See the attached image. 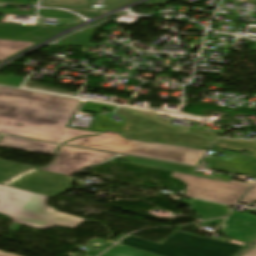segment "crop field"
Returning a JSON list of instances; mask_svg holds the SVG:
<instances>
[{
	"mask_svg": "<svg viewBox=\"0 0 256 256\" xmlns=\"http://www.w3.org/2000/svg\"><path fill=\"white\" fill-rule=\"evenodd\" d=\"M96 29H87L85 31L73 34L59 42L56 45H48V47H59V46H84L89 45Z\"/></svg>",
	"mask_w": 256,
	"mask_h": 256,
	"instance_id": "22f410ed",
	"label": "crop field"
},
{
	"mask_svg": "<svg viewBox=\"0 0 256 256\" xmlns=\"http://www.w3.org/2000/svg\"><path fill=\"white\" fill-rule=\"evenodd\" d=\"M216 146L241 151L243 149L254 151L251 157L256 158V142L246 140L217 139Z\"/></svg>",
	"mask_w": 256,
	"mask_h": 256,
	"instance_id": "d9b57169",
	"label": "crop field"
},
{
	"mask_svg": "<svg viewBox=\"0 0 256 256\" xmlns=\"http://www.w3.org/2000/svg\"><path fill=\"white\" fill-rule=\"evenodd\" d=\"M0 146L51 154V155H54L55 150L59 147L58 145H54V144L7 137V136H3L0 139Z\"/></svg>",
	"mask_w": 256,
	"mask_h": 256,
	"instance_id": "3316defc",
	"label": "crop field"
},
{
	"mask_svg": "<svg viewBox=\"0 0 256 256\" xmlns=\"http://www.w3.org/2000/svg\"><path fill=\"white\" fill-rule=\"evenodd\" d=\"M116 113L127 119L120 133L129 138L205 147L211 145L217 136L216 133L170 125V120L156 118L154 114L138 110L120 107Z\"/></svg>",
	"mask_w": 256,
	"mask_h": 256,
	"instance_id": "34b2d1b8",
	"label": "crop field"
},
{
	"mask_svg": "<svg viewBox=\"0 0 256 256\" xmlns=\"http://www.w3.org/2000/svg\"><path fill=\"white\" fill-rule=\"evenodd\" d=\"M122 125L123 123L111 121L109 118L98 117L90 130L103 132L106 131V129H109L119 132Z\"/></svg>",
	"mask_w": 256,
	"mask_h": 256,
	"instance_id": "214f88e0",
	"label": "crop field"
},
{
	"mask_svg": "<svg viewBox=\"0 0 256 256\" xmlns=\"http://www.w3.org/2000/svg\"><path fill=\"white\" fill-rule=\"evenodd\" d=\"M47 198L0 186V213L9 216L14 222L39 229L55 226L74 228L85 220L54 210L45 204Z\"/></svg>",
	"mask_w": 256,
	"mask_h": 256,
	"instance_id": "ac0d7876",
	"label": "crop field"
},
{
	"mask_svg": "<svg viewBox=\"0 0 256 256\" xmlns=\"http://www.w3.org/2000/svg\"><path fill=\"white\" fill-rule=\"evenodd\" d=\"M78 13L84 14V12H78Z\"/></svg>",
	"mask_w": 256,
	"mask_h": 256,
	"instance_id": "d32e631a",
	"label": "crop field"
},
{
	"mask_svg": "<svg viewBox=\"0 0 256 256\" xmlns=\"http://www.w3.org/2000/svg\"><path fill=\"white\" fill-rule=\"evenodd\" d=\"M39 13L41 16L79 19L75 15L64 11L40 10Z\"/></svg>",
	"mask_w": 256,
	"mask_h": 256,
	"instance_id": "dafd665d",
	"label": "crop field"
},
{
	"mask_svg": "<svg viewBox=\"0 0 256 256\" xmlns=\"http://www.w3.org/2000/svg\"><path fill=\"white\" fill-rule=\"evenodd\" d=\"M0 256H18V255L13 254V253H5V252L0 251Z\"/></svg>",
	"mask_w": 256,
	"mask_h": 256,
	"instance_id": "bd1437ed",
	"label": "crop field"
},
{
	"mask_svg": "<svg viewBox=\"0 0 256 256\" xmlns=\"http://www.w3.org/2000/svg\"><path fill=\"white\" fill-rule=\"evenodd\" d=\"M103 242H105V241L99 240V239H93V240L87 242L86 244L92 243V244H91V246H92V245L95 244V243L101 244V243H103ZM86 244H84V245H86ZM84 245H82V246H84Z\"/></svg>",
	"mask_w": 256,
	"mask_h": 256,
	"instance_id": "ae1a2a85",
	"label": "crop field"
},
{
	"mask_svg": "<svg viewBox=\"0 0 256 256\" xmlns=\"http://www.w3.org/2000/svg\"><path fill=\"white\" fill-rule=\"evenodd\" d=\"M98 14H100V13H96V12H87V13H86V16H88V17H93V16H96V15H98Z\"/></svg>",
	"mask_w": 256,
	"mask_h": 256,
	"instance_id": "1d83c4d3",
	"label": "crop field"
},
{
	"mask_svg": "<svg viewBox=\"0 0 256 256\" xmlns=\"http://www.w3.org/2000/svg\"><path fill=\"white\" fill-rule=\"evenodd\" d=\"M40 28L42 27L0 24V38L15 39L19 36L28 34Z\"/></svg>",
	"mask_w": 256,
	"mask_h": 256,
	"instance_id": "5142ce71",
	"label": "crop field"
},
{
	"mask_svg": "<svg viewBox=\"0 0 256 256\" xmlns=\"http://www.w3.org/2000/svg\"><path fill=\"white\" fill-rule=\"evenodd\" d=\"M0 2L27 3L24 0H0Z\"/></svg>",
	"mask_w": 256,
	"mask_h": 256,
	"instance_id": "750c4746",
	"label": "crop field"
},
{
	"mask_svg": "<svg viewBox=\"0 0 256 256\" xmlns=\"http://www.w3.org/2000/svg\"><path fill=\"white\" fill-rule=\"evenodd\" d=\"M172 176L187 184L186 196L226 205L236 204L250 187L246 183H227L176 172H173Z\"/></svg>",
	"mask_w": 256,
	"mask_h": 256,
	"instance_id": "dd49c442",
	"label": "crop field"
},
{
	"mask_svg": "<svg viewBox=\"0 0 256 256\" xmlns=\"http://www.w3.org/2000/svg\"><path fill=\"white\" fill-rule=\"evenodd\" d=\"M24 79L25 78L12 77V76H6V75L0 74V84L20 87V85Z\"/></svg>",
	"mask_w": 256,
	"mask_h": 256,
	"instance_id": "00972430",
	"label": "crop field"
},
{
	"mask_svg": "<svg viewBox=\"0 0 256 256\" xmlns=\"http://www.w3.org/2000/svg\"><path fill=\"white\" fill-rule=\"evenodd\" d=\"M79 101L0 86V132L59 143L99 134L66 127Z\"/></svg>",
	"mask_w": 256,
	"mask_h": 256,
	"instance_id": "8a807250",
	"label": "crop field"
},
{
	"mask_svg": "<svg viewBox=\"0 0 256 256\" xmlns=\"http://www.w3.org/2000/svg\"><path fill=\"white\" fill-rule=\"evenodd\" d=\"M101 256H155L123 246L115 245Z\"/></svg>",
	"mask_w": 256,
	"mask_h": 256,
	"instance_id": "bc2a9ffb",
	"label": "crop field"
},
{
	"mask_svg": "<svg viewBox=\"0 0 256 256\" xmlns=\"http://www.w3.org/2000/svg\"><path fill=\"white\" fill-rule=\"evenodd\" d=\"M119 244L163 256H232L243 247L179 231L172 232L161 244L131 235Z\"/></svg>",
	"mask_w": 256,
	"mask_h": 256,
	"instance_id": "f4fd0767",
	"label": "crop field"
},
{
	"mask_svg": "<svg viewBox=\"0 0 256 256\" xmlns=\"http://www.w3.org/2000/svg\"><path fill=\"white\" fill-rule=\"evenodd\" d=\"M111 244H112V243L109 242V243H107V244H105V245H102V246L105 247V248H107V247L110 246ZM105 248H104V249H105ZM104 249H102V250H104ZM102 250H100V251H98V252L87 251L86 254H84V255H82V256H95V255H97L99 252H101Z\"/></svg>",
	"mask_w": 256,
	"mask_h": 256,
	"instance_id": "730fd06b",
	"label": "crop field"
},
{
	"mask_svg": "<svg viewBox=\"0 0 256 256\" xmlns=\"http://www.w3.org/2000/svg\"><path fill=\"white\" fill-rule=\"evenodd\" d=\"M20 227H21V224H17V223L13 222L10 229L13 230V231H17V230L20 229Z\"/></svg>",
	"mask_w": 256,
	"mask_h": 256,
	"instance_id": "eef30255",
	"label": "crop field"
},
{
	"mask_svg": "<svg viewBox=\"0 0 256 256\" xmlns=\"http://www.w3.org/2000/svg\"><path fill=\"white\" fill-rule=\"evenodd\" d=\"M243 256H256V248L248 251L246 254H244Z\"/></svg>",
	"mask_w": 256,
	"mask_h": 256,
	"instance_id": "d3111659",
	"label": "crop field"
},
{
	"mask_svg": "<svg viewBox=\"0 0 256 256\" xmlns=\"http://www.w3.org/2000/svg\"><path fill=\"white\" fill-rule=\"evenodd\" d=\"M7 186L46 196H55L71 189V177L36 170Z\"/></svg>",
	"mask_w": 256,
	"mask_h": 256,
	"instance_id": "d8731c3e",
	"label": "crop field"
},
{
	"mask_svg": "<svg viewBox=\"0 0 256 256\" xmlns=\"http://www.w3.org/2000/svg\"><path fill=\"white\" fill-rule=\"evenodd\" d=\"M115 154L62 145L49 167L40 170L72 176L83 167L102 162Z\"/></svg>",
	"mask_w": 256,
	"mask_h": 256,
	"instance_id": "e52e79f7",
	"label": "crop field"
},
{
	"mask_svg": "<svg viewBox=\"0 0 256 256\" xmlns=\"http://www.w3.org/2000/svg\"><path fill=\"white\" fill-rule=\"evenodd\" d=\"M4 8H5V7H1V6H0V13L35 16L34 13H30V12H21V11H14V10L4 9Z\"/></svg>",
	"mask_w": 256,
	"mask_h": 256,
	"instance_id": "4177f3b9",
	"label": "crop field"
},
{
	"mask_svg": "<svg viewBox=\"0 0 256 256\" xmlns=\"http://www.w3.org/2000/svg\"><path fill=\"white\" fill-rule=\"evenodd\" d=\"M63 28H55V27H45L39 31H36L28 36L20 38L18 40L21 41H31V42H39L45 38L53 36L57 34L58 31L62 30ZM59 33V32H58Z\"/></svg>",
	"mask_w": 256,
	"mask_h": 256,
	"instance_id": "4a817a6b",
	"label": "crop field"
},
{
	"mask_svg": "<svg viewBox=\"0 0 256 256\" xmlns=\"http://www.w3.org/2000/svg\"><path fill=\"white\" fill-rule=\"evenodd\" d=\"M101 108H104V109H107V110L113 112L116 107L108 106V105H102V104H96V103H90V102H85L84 106L81 108L82 111H88V112L97 113L89 128H91V126L93 125V123H94L96 117L98 116Z\"/></svg>",
	"mask_w": 256,
	"mask_h": 256,
	"instance_id": "92a150f3",
	"label": "crop field"
},
{
	"mask_svg": "<svg viewBox=\"0 0 256 256\" xmlns=\"http://www.w3.org/2000/svg\"><path fill=\"white\" fill-rule=\"evenodd\" d=\"M70 10H72V11H94V10H76V9H70ZM96 12H104V11H96Z\"/></svg>",
	"mask_w": 256,
	"mask_h": 256,
	"instance_id": "120bbe31",
	"label": "crop field"
},
{
	"mask_svg": "<svg viewBox=\"0 0 256 256\" xmlns=\"http://www.w3.org/2000/svg\"><path fill=\"white\" fill-rule=\"evenodd\" d=\"M107 243V242H106ZM103 244H105V243H103ZM102 245V244H101Z\"/></svg>",
	"mask_w": 256,
	"mask_h": 256,
	"instance_id": "5866460e",
	"label": "crop field"
},
{
	"mask_svg": "<svg viewBox=\"0 0 256 256\" xmlns=\"http://www.w3.org/2000/svg\"><path fill=\"white\" fill-rule=\"evenodd\" d=\"M204 161H211V169L256 176V163L248 157L235 155L232 162L206 157Z\"/></svg>",
	"mask_w": 256,
	"mask_h": 256,
	"instance_id": "5a996713",
	"label": "crop field"
},
{
	"mask_svg": "<svg viewBox=\"0 0 256 256\" xmlns=\"http://www.w3.org/2000/svg\"><path fill=\"white\" fill-rule=\"evenodd\" d=\"M253 200H256V182L253 185L252 189L247 193V195L240 202L251 204Z\"/></svg>",
	"mask_w": 256,
	"mask_h": 256,
	"instance_id": "a9b5d70f",
	"label": "crop field"
},
{
	"mask_svg": "<svg viewBox=\"0 0 256 256\" xmlns=\"http://www.w3.org/2000/svg\"><path fill=\"white\" fill-rule=\"evenodd\" d=\"M127 158L130 160L132 164L141 165V166H147V167H153V168H159V169H165V170H171V171H177V172H183V173H189V174H192L196 170L195 168H190V167L176 165V164L167 163V162L142 159V158H136V157H130V156H127Z\"/></svg>",
	"mask_w": 256,
	"mask_h": 256,
	"instance_id": "d1516ede",
	"label": "crop field"
},
{
	"mask_svg": "<svg viewBox=\"0 0 256 256\" xmlns=\"http://www.w3.org/2000/svg\"><path fill=\"white\" fill-rule=\"evenodd\" d=\"M33 44L35 43L0 40V61Z\"/></svg>",
	"mask_w": 256,
	"mask_h": 256,
	"instance_id": "733c2abd",
	"label": "crop field"
},
{
	"mask_svg": "<svg viewBox=\"0 0 256 256\" xmlns=\"http://www.w3.org/2000/svg\"><path fill=\"white\" fill-rule=\"evenodd\" d=\"M29 171H33V169L0 162V183L6 184Z\"/></svg>",
	"mask_w": 256,
	"mask_h": 256,
	"instance_id": "cbeb9de0",
	"label": "crop field"
},
{
	"mask_svg": "<svg viewBox=\"0 0 256 256\" xmlns=\"http://www.w3.org/2000/svg\"><path fill=\"white\" fill-rule=\"evenodd\" d=\"M66 144L150 157L175 163L197 165L206 150L185 146H170L162 143H145L128 140L121 135L108 131L99 136L81 137Z\"/></svg>",
	"mask_w": 256,
	"mask_h": 256,
	"instance_id": "412701ff",
	"label": "crop field"
},
{
	"mask_svg": "<svg viewBox=\"0 0 256 256\" xmlns=\"http://www.w3.org/2000/svg\"><path fill=\"white\" fill-rule=\"evenodd\" d=\"M192 210L203 219L222 217L227 215L230 211L224 206L211 204L195 199H193Z\"/></svg>",
	"mask_w": 256,
	"mask_h": 256,
	"instance_id": "28ad6ade",
	"label": "crop field"
}]
</instances>
